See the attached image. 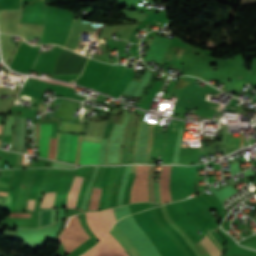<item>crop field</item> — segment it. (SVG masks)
<instances>
[{"label":"crop field","instance_id":"crop-field-1","mask_svg":"<svg viewBox=\"0 0 256 256\" xmlns=\"http://www.w3.org/2000/svg\"><path fill=\"white\" fill-rule=\"evenodd\" d=\"M77 138L78 136L76 135H70V139H69V135L58 134V140L56 139L57 140L56 158L66 161L68 139H69L67 161L73 163L76 144H77ZM81 140H82V136H79L76 155H75V161H74V163L76 164H78L79 147H80ZM100 146L101 144L82 142L81 148H80L79 164H99Z\"/></svg>","mask_w":256,"mask_h":256},{"label":"crop field","instance_id":"crop-field-2","mask_svg":"<svg viewBox=\"0 0 256 256\" xmlns=\"http://www.w3.org/2000/svg\"><path fill=\"white\" fill-rule=\"evenodd\" d=\"M132 217L162 256H183L176 244L154 223L149 209Z\"/></svg>","mask_w":256,"mask_h":256},{"label":"crop field","instance_id":"crop-field-3","mask_svg":"<svg viewBox=\"0 0 256 256\" xmlns=\"http://www.w3.org/2000/svg\"><path fill=\"white\" fill-rule=\"evenodd\" d=\"M149 168L150 166L136 165L131 203L139 201L148 202L149 194L147 190V183Z\"/></svg>","mask_w":256,"mask_h":256},{"label":"crop field","instance_id":"crop-field-4","mask_svg":"<svg viewBox=\"0 0 256 256\" xmlns=\"http://www.w3.org/2000/svg\"><path fill=\"white\" fill-rule=\"evenodd\" d=\"M82 256H129L109 233L91 250Z\"/></svg>","mask_w":256,"mask_h":256},{"label":"crop field","instance_id":"crop-field-5","mask_svg":"<svg viewBox=\"0 0 256 256\" xmlns=\"http://www.w3.org/2000/svg\"><path fill=\"white\" fill-rule=\"evenodd\" d=\"M89 237L79 225L77 215L69 217L64 229L59 237V240L80 245ZM58 239V238H57Z\"/></svg>","mask_w":256,"mask_h":256},{"label":"crop field","instance_id":"crop-field-6","mask_svg":"<svg viewBox=\"0 0 256 256\" xmlns=\"http://www.w3.org/2000/svg\"><path fill=\"white\" fill-rule=\"evenodd\" d=\"M86 221L94 235L100 240L108 231L103 226L98 212L85 213Z\"/></svg>","mask_w":256,"mask_h":256},{"label":"crop field","instance_id":"crop-field-7","mask_svg":"<svg viewBox=\"0 0 256 256\" xmlns=\"http://www.w3.org/2000/svg\"><path fill=\"white\" fill-rule=\"evenodd\" d=\"M51 124H39V155L48 157Z\"/></svg>","mask_w":256,"mask_h":256},{"label":"crop field","instance_id":"crop-field-8","mask_svg":"<svg viewBox=\"0 0 256 256\" xmlns=\"http://www.w3.org/2000/svg\"><path fill=\"white\" fill-rule=\"evenodd\" d=\"M109 233L120 242V244L130 254V256H141L139 252L135 249V247L131 244V242L122 233V231L117 227L116 224H114L113 228Z\"/></svg>","mask_w":256,"mask_h":256},{"label":"crop field","instance_id":"crop-field-9","mask_svg":"<svg viewBox=\"0 0 256 256\" xmlns=\"http://www.w3.org/2000/svg\"><path fill=\"white\" fill-rule=\"evenodd\" d=\"M171 166H162L161 175H169ZM169 176H160V199L161 202L171 201L168 191Z\"/></svg>","mask_w":256,"mask_h":256},{"label":"crop field","instance_id":"crop-field-10","mask_svg":"<svg viewBox=\"0 0 256 256\" xmlns=\"http://www.w3.org/2000/svg\"><path fill=\"white\" fill-rule=\"evenodd\" d=\"M200 242L210 254V256H218L222 254L221 251L213 244V242L208 238L207 235H205L204 239Z\"/></svg>","mask_w":256,"mask_h":256},{"label":"crop field","instance_id":"crop-field-11","mask_svg":"<svg viewBox=\"0 0 256 256\" xmlns=\"http://www.w3.org/2000/svg\"><path fill=\"white\" fill-rule=\"evenodd\" d=\"M99 214H100V217H101L105 227L109 231V229L112 226V224L114 222H116V220H115V218L113 216V213H112V209L110 208V209L105 210V211H100Z\"/></svg>","mask_w":256,"mask_h":256},{"label":"crop field","instance_id":"crop-field-12","mask_svg":"<svg viewBox=\"0 0 256 256\" xmlns=\"http://www.w3.org/2000/svg\"><path fill=\"white\" fill-rule=\"evenodd\" d=\"M52 210L39 212L38 228L51 224Z\"/></svg>","mask_w":256,"mask_h":256},{"label":"crop field","instance_id":"crop-field-13","mask_svg":"<svg viewBox=\"0 0 256 256\" xmlns=\"http://www.w3.org/2000/svg\"><path fill=\"white\" fill-rule=\"evenodd\" d=\"M101 189L93 188L88 210H97Z\"/></svg>","mask_w":256,"mask_h":256},{"label":"crop field","instance_id":"crop-field-14","mask_svg":"<svg viewBox=\"0 0 256 256\" xmlns=\"http://www.w3.org/2000/svg\"><path fill=\"white\" fill-rule=\"evenodd\" d=\"M56 193H46L41 202V208H51L55 199Z\"/></svg>","mask_w":256,"mask_h":256},{"label":"crop field","instance_id":"crop-field-15","mask_svg":"<svg viewBox=\"0 0 256 256\" xmlns=\"http://www.w3.org/2000/svg\"><path fill=\"white\" fill-rule=\"evenodd\" d=\"M33 205H34V200H29L27 209H31V211H32L33 210ZM27 211H30V210H27Z\"/></svg>","mask_w":256,"mask_h":256},{"label":"crop field","instance_id":"crop-field-16","mask_svg":"<svg viewBox=\"0 0 256 256\" xmlns=\"http://www.w3.org/2000/svg\"><path fill=\"white\" fill-rule=\"evenodd\" d=\"M10 217H30V214H11Z\"/></svg>","mask_w":256,"mask_h":256},{"label":"crop field","instance_id":"crop-field-17","mask_svg":"<svg viewBox=\"0 0 256 256\" xmlns=\"http://www.w3.org/2000/svg\"><path fill=\"white\" fill-rule=\"evenodd\" d=\"M54 142H55V140L51 141L50 157H52V158H53Z\"/></svg>","mask_w":256,"mask_h":256},{"label":"crop field","instance_id":"crop-field-18","mask_svg":"<svg viewBox=\"0 0 256 256\" xmlns=\"http://www.w3.org/2000/svg\"><path fill=\"white\" fill-rule=\"evenodd\" d=\"M242 246L256 250V245H252V244L246 243V244H242Z\"/></svg>","mask_w":256,"mask_h":256},{"label":"crop field","instance_id":"crop-field-19","mask_svg":"<svg viewBox=\"0 0 256 256\" xmlns=\"http://www.w3.org/2000/svg\"><path fill=\"white\" fill-rule=\"evenodd\" d=\"M123 168H124V166L120 167L119 175H118V178H117L118 181L120 180L121 174L123 172Z\"/></svg>","mask_w":256,"mask_h":256},{"label":"crop field","instance_id":"crop-field-20","mask_svg":"<svg viewBox=\"0 0 256 256\" xmlns=\"http://www.w3.org/2000/svg\"><path fill=\"white\" fill-rule=\"evenodd\" d=\"M37 133H38V125H37ZM35 135H36V125H35ZM36 146H37V136H36Z\"/></svg>","mask_w":256,"mask_h":256},{"label":"crop field","instance_id":"crop-field-21","mask_svg":"<svg viewBox=\"0 0 256 256\" xmlns=\"http://www.w3.org/2000/svg\"><path fill=\"white\" fill-rule=\"evenodd\" d=\"M0 195H4V196H6V195H7V193H6V192H1V191H0Z\"/></svg>","mask_w":256,"mask_h":256},{"label":"crop field","instance_id":"crop-field-22","mask_svg":"<svg viewBox=\"0 0 256 256\" xmlns=\"http://www.w3.org/2000/svg\"><path fill=\"white\" fill-rule=\"evenodd\" d=\"M230 109H233V108H230ZM233 110H236V109H233Z\"/></svg>","mask_w":256,"mask_h":256}]
</instances>
